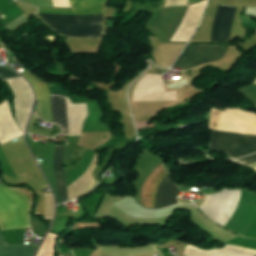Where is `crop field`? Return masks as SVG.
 I'll return each instance as SVG.
<instances>
[{
	"label": "crop field",
	"instance_id": "crop-field-4",
	"mask_svg": "<svg viewBox=\"0 0 256 256\" xmlns=\"http://www.w3.org/2000/svg\"><path fill=\"white\" fill-rule=\"evenodd\" d=\"M221 150L230 160L256 152V136L218 132L211 134L210 151Z\"/></svg>",
	"mask_w": 256,
	"mask_h": 256
},
{
	"label": "crop field",
	"instance_id": "crop-field-15",
	"mask_svg": "<svg viewBox=\"0 0 256 256\" xmlns=\"http://www.w3.org/2000/svg\"><path fill=\"white\" fill-rule=\"evenodd\" d=\"M244 165H250L254 162H256V154H253V155H250V156H247L245 158H242V159H239V160H236Z\"/></svg>",
	"mask_w": 256,
	"mask_h": 256
},
{
	"label": "crop field",
	"instance_id": "crop-field-11",
	"mask_svg": "<svg viewBox=\"0 0 256 256\" xmlns=\"http://www.w3.org/2000/svg\"><path fill=\"white\" fill-rule=\"evenodd\" d=\"M20 74L33 85L37 100H50L48 88L41 78L28 71H24Z\"/></svg>",
	"mask_w": 256,
	"mask_h": 256
},
{
	"label": "crop field",
	"instance_id": "crop-field-10",
	"mask_svg": "<svg viewBox=\"0 0 256 256\" xmlns=\"http://www.w3.org/2000/svg\"><path fill=\"white\" fill-rule=\"evenodd\" d=\"M38 247L39 245H7L0 234V256H34Z\"/></svg>",
	"mask_w": 256,
	"mask_h": 256
},
{
	"label": "crop field",
	"instance_id": "crop-field-9",
	"mask_svg": "<svg viewBox=\"0 0 256 256\" xmlns=\"http://www.w3.org/2000/svg\"><path fill=\"white\" fill-rule=\"evenodd\" d=\"M51 106L53 114V123L57 124L67 135V117H66V105L65 96L50 94Z\"/></svg>",
	"mask_w": 256,
	"mask_h": 256
},
{
	"label": "crop field",
	"instance_id": "crop-field-8",
	"mask_svg": "<svg viewBox=\"0 0 256 256\" xmlns=\"http://www.w3.org/2000/svg\"><path fill=\"white\" fill-rule=\"evenodd\" d=\"M64 151H65V147L57 146L55 159H54V174H55L59 203L67 200L65 178H64V171H63Z\"/></svg>",
	"mask_w": 256,
	"mask_h": 256
},
{
	"label": "crop field",
	"instance_id": "crop-field-13",
	"mask_svg": "<svg viewBox=\"0 0 256 256\" xmlns=\"http://www.w3.org/2000/svg\"><path fill=\"white\" fill-rule=\"evenodd\" d=\"M34 215H41L45 221V193H37Z\"/></svg>",
	"mask_w": 256,
	"mask_h": 256
},
{
	"label": "crop field",
	"instance_id": "crop-field-2",
	"mask_svg": "<svg viewBox=\"0 0 256 256\" xmlns=\"http://www.w3.org/2000/svg\"><path fill=\"white\" fill-rule=\"evenodd\" d=\"M34 195L28 190L0 184V230L28 228Z\"/></svg>",
	"mask_w": 256,
	"mask_h": 256
},
{
	"label": "crop field",
	"instance_id": "crop-field-1",
	"mask_svg": "<svg viewBox=\"0 0 256 256\" xmlns=\"http://www.w3.org/2000/svg\"><path fill=\"white\" fill-rule=\"evenodd\" d=\"M73 10L39 8L38 12L104 14L107 0H69ZM39 16L103 17L104 15L37 13ZM48 25L102 26L103 18L42 17ZM65 36L99 38L102 27L50 26Z\"/></svg>",
	"mask_w": 256,
	"mask_h": 256
},
{
	"label": "crop field",
	"instance_id": "crop-field-3",
	"mask_svg": "<svg viewBox=\"0 0 256 256\" xmlns=\"http://www.w3.org/2000/svg\"><path fill=\"white\" fill-rule=\"evenodd\" d=\"M169 172L164 162L160 163L146 179L141 191V203L144 207L157 208L156 196L158 188ZM179 189L170 179V173L164 178L158 191L157 204L158 208L177 204L176 197Z\"/></svg>",
	"mask_w": 256,
	"mask_h": 256
},
{
	"label": "crop field",
	"instance_id": "crop-field-7",
	"mask_svg": "<svg viewBox=\"0 0 256 256\" xmlns=\"http://www.w3.org/2000/svg\"><path fill=\"white\" fill-rule=\"evenodd\" d=\"M236 7L218 6L210 41L229 40L230 28Z\"/></svg>",
	"mask_w": 256,
	"mask_h": 256
},
{
	"label": "crop field",
	"instance_id": "crop-field-6",
	"mask_svg": "<svg viewBox=\"0 0 256 256\" xmlns=\"http://www.w3.org/2000/svg\"><path fill=\"white\" fill-rule=\"evenodd\" d=\"M228 49L220 45H187L174 66L187 70L198 64L220 60L224 58Z\"/></svg>",
	"mask_w": 256,
	"mask_h": 256
},
{
	"label": "crop field",
	"instance_id": "crop-field-12",
	"mask_svg": "<svg viewBox=\"0 0 256 256\" xmlns=\"http://www.w3.org/2000/svg\"><path fill=\"white\" fill-rule=\"evenodd\" d=\"M58 238V235L48 233L45 241L43 242L40 250L36 256H53L54 255V245Z\"/></svg>",
	"mask_w": 256,
	"mask_h": 256
},
{
	"label": "crop field",
	"instance_id": "crop-field-5",
	"mask_svg": "<svg viewBox=\"0 0 256 256\" xmlns=\"http://www.w3.org/2000/svg\"><path fill=\"white\" fill-rule=\"evenodd\" d=\"M209 129L256 135V114L237 109L218 110L209 117Z\"/></svg>",
	"mask_w": 256,
	"mask_h": 256
},
{
	"label": "crop field",
	"instance_id": "crop-field-14",
	"mask_svg": "<svg viewBox=\"0 0 256 256\" xmlns=\"http://www.w3.org/2000/svg\"><path fill=\"white\" fill-rule=\"evenodd\" d=\"M21 77L17 73L0 66V80Z\"/></svg>",
	"mask_w": 256,
	"mask_h": 256
}]
</instances>
